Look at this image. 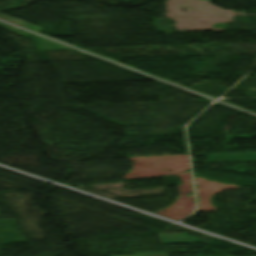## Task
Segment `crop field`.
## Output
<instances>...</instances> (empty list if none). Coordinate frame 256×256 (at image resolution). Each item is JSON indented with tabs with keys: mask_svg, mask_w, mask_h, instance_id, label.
<instances>
[{
	"mask_svg": "<svg viewBox=\"0 0 256 256\" xmlns=\"http://www.w3.org/2000/svg\"><path fill=\"white\" fill-rule=\"evenodd\" d=\"M210 162L256 161V153L208 155Z\"/></svg>",
	"mask_w": 256,
	"mask_h": 256,
	"instance_id": "1",
	"label": "crop field"
},
{
	"mask_svg": "<svg viewBox=\"0 0 256 256\" xmlns=\"http://www.w3.org/2000/svg\"><path fill=\"white\" fill-rule=\"evenodd\" d=\"M124 256H167V253L159 252V253H145V254H136V255H124Z\"/></svg>",
	"mask_w": 256,
	"mask_h": 256,
	"instance_id": "2",
	"label": "crop field"
}]
</instances>
